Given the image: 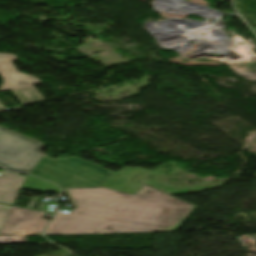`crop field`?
<instances>
[{
	"label": "crop field",
	"instance_id": "crop-field-1",
	"mask_svg": "<svg viewBox=\"0 0 256 256\" xmlns=\"http://www.w3.org/2000/svg\"><path fill=\"white\" fill-rule=\"evenodd\" d=\"M64 190L74 208L68 215L57 213L45 234L165 231L132 224L176 231L197 209L145 185L136 195L106 188Z\"/></svg>",
	"mask_w": 256,
	"mask_h": 256
},
{
	"label": "crop field",
	"instance_id": "crop-field-2",
	"mask_svg": "<svg viewBox=\"0 0 256 256\" xmlns=\"http://www.w3.org/2000/svg\"><path fill=\"white\" fill-rule=\"evenodd\" d=\"M111 171L72 156L52 160L45 156L29 173L62 187L100 186Z\"/></svg>",
	"mask_w": 256,
	"mask_h": 256
},
{
	"label": "crop field",
	"instance_id": "crop-field-3",
	"mask_svg": "<svg viewBox=\"0 0 256 256\" xmlns=\"http://www.w3.org/2000/svg\"><path fill=\"white\" fill-rule=\"evenodd\" d=\"M43 148V144L0 126L1 168L29 173L42 158Z\"/></svg>",
	"mask_w": 256,
	"mask_h": 256
},
{
	"label": "crop field",
	"instance_id": "crop-field-4",
	"mask_svg": "<svg viewBox=\"0 0 256 256\" xmlns=\"http://www.w3.org/2000/svg\"><path fill=\"white\" fill-rule=\"evenodd\" d=\"M45 214L44 212L13 207L0 236L42 235L48 223V220L43 219Z\"/></svg>",
	"mask_w": 256,
	"mask_h": 256
},
{
	"label": "crop field",
	"instance_id": "crop-field-5",
	"mask_svg": "<svg viewBox=\"0 0 256 256\" xmlns=\"http://www.w3.org/2000/svg\"><path fill=\"white\" fill-rule=\"evenodd\" d=\"M17 59L16 55L0 54V74L4 79L0 92L41 83L34 77L18 72L12 63Z\"/></svg>",
	"mask_w": 256,
	"mask_h": 256
},
{
	"label": "crop field",
	"instance_id": "crop-field-6",
	"mask_svg": "<svg viewBox=\"0 0 256 256\" xmlns=\"http://www.w3.org/2000/svg\"><path fill=\"white\" fill-rule=\"evenodd\" d=\"M149 171L142 168H125L117 174L111 173L101 186L136 194L142 186L138 180Z\"/></svg>",
	"mask_w": 256,
	"mask_h": 256
},
{
	"label": "crop field",
	"instance_id": "crop-field-7",
	"mask_svg": "<svg viewBox=\"0 0 256 256\" xmlns=\"http://www.w3.org/2000/svg\"><path fill=\"white\" fill-rule=\"evenodd\" d=\"M25 179V176L1 172L0 203L13 205Z\"/></svg>",
	"mask_w": 256,
	"mask_h": 256
},
{
	"label": "crop field",
	"instance_id": "crop-field-8",
	"mask_svg": "<svg viewBox=\"0 0 256 256\" xmlns=\"http://www.w3.org/2000/svg\"><path fill=\"white\" fill-rule=\"evenodd\" d=\"M23 188L61 193L60 188L57 187L56 185L46 182L44 180L35 178L30 175H28V178H27Z\"/></svg>",
	"mask_w": 256,
	"mask_h": 256
},
{
	"label": "crop field",
	"instance_id": "crop-field-9",
	"mask_svg": "<svg viewBox=\"0 0 256 256\" xmlns=\"http://www.w3.org/2000/svg\"><path fill=\"white\" fill-rule=\"evenodd\" d=\"M36 90L33 86H30V87L14 90L13 92L22 101L23 104H26V103L43 99Z\"/></svg>",
	"mask_w": 256,
	"mask_h": 256
},
{
	"label": "crop field",
	"instance_id": "crop-field-10",
	"mask_svg": "<svg viewBox=\"0 0 256 256\" xmlns=\"http://www.w3.org/2000/svg\"><path fill=\"white\" fill-rule=\"evenodd\" d=\"M10 209H11L10 206H5L0 204V230L8 216Z\"/></svg>",
	"mask_w": 256,
	"mask_h": 256
},
{
	"label": "crop field",
	"instance_id": "crop-field-11",
	"mask_svg": "<svg viewBox=\"0 0 256 256\" xmlns=\"http://www.w3.org/2000/svg\"><path fill=\"white\" fill-rule=\"evenodd\" d=\"M26 242L25 236L0 237V243Z\"/></svg>",
	"mask_w": 256,
	"mask_h": 256
},
{
	"label": "crop field",
	"instance_id": "crop-field-12",
	"mask_svg": "<svg viewBox=\"0 0 256 256\" xmlns=\"http://www.w3.org/2000/svg\"><path fill=\"white\" fill-rule=\"evenodd\" d=\"M6 110H7L6 108H4L2 105H0V112L6 111Z\"/></svg>",
	"mask_w": 256,
	"mask_h": 256
}]
</instances>
